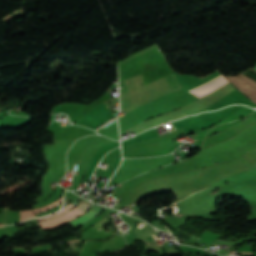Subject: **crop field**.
<instances>
[{
	"instance_id": "obj_5",
	"label": "crop field",
	"mask_w": 256,
	"mask_h": 256,
	"mask_svg": "<svg viewBox=\"0 0 256 256\" xmlns=\"http://www.w3.org/2000/svg\"><path fill=\"white\" fill-rule=\"evenodd\" d=\"M97 213L93 212V211H89L87 214H85L84 216L76 219V220H73L71 221V223L76 227H80L81 225H84L85 223H87L89 220H91L92 218L96 217Z\"/></svg>"
},
{
	"instance_id": "obj_6",
	"label": "crop field",
	"mask_w": 256,
	"mask_h": 256,
	"mask_svg": "<svg viewBox=\"0 0 256 256\" xmlns=\"http://www.w3.org/2000/svg\"><path fill=\"white\" fill-rule=\"evenodd\" d=\"M71 208H73V207L69 205V206H67L66 208L62 209L60 212L55 213L54 215L51 214V215H49V216H46V217L37 219V222L43 221V220H46V219H50V218H52V217L58 216V215H60V214H63L64 212L68 211V210L71 209Z\"/></svg>"
},
{
	"instance_id": "obj_8",
	"label": "crop field",
	"mask_w": 256,
	"mask_h": 256,
	"mask_svg": "<svg viewBox=\"0 0 256 256\" xmlns=\"http://www.w3.org/2000/svg\"><path fill=\"white\" fill-rule=\"evenodd\" d=\"M242 253H247V252H242ZM249 254H253V253H249Z\"/></svg>"
},
{
	"instance_id": "obj_3",
	"label": "crop field",
	"mask_w": 256,
	"mask_h": 256,
	"mask_svg": "<svg viewBox=\"0 0 256 256\" xmlns=\"http://www.w3.org/2000/svg\"><path fill=\"white\" fill-rule=\"evenodd\" d=\"M82 214H84V213L75 207L72 210L66 212L65 214H63L57 218H53V219H50L47 221L40 222L39 225L42 229L55 227L59 224H62V223L67 222L73 218H76Z\"/></svg>"
},
{
	"instance_id": "obj_1",
	"label": "crop field",
	"mask_w": 256,
	"mask_h": 256,
	"mask_svg": "<svg viewBox=\"0 0 256 256\" xmlns=\"http://www.w3.org/2000/svg\"><path fill=\"white\" fill-rule=\"evenodd\" d=\"M254 103H256V82L240 74L236 77H226Z\"/></svg>"
},
{
	"instance_id": "obj_7",
	"label": "crop field",
	"mask_w": 256,
	"mask_h": 256,
	"mask_svg": "<svg viewBox=\"0 0 256 256\" xmlns=\"http://www.w3.org/2000/svg\"><path fill=\"white\" fill-rule=\"evenodd\" d=\"M35 220H36V219L29 220V221H26V222H24V223H21L20 225L26 224V223H28V222H33V221H35Z\"/></svg>"
},
{
	"instance_id": "obj_4",
	"label": "crop field",
	"mask_w": 256,
	"mask_h": 256,
	"mask_svg": "<svg viewBox=\"0 0 256 256\" xmlns=\"http://www.w3.org/2000/svg\"><path fill=\"white\" fill-rule=\"evenodd\" d=\"M61 201H62V197H61L57 202H55V203H53V204H51V205H48V206H46V207H44V208L36 209V210H33V211H34V213H38V212L45 211V210H47V209H50V208H52V207H54V206L60 204ZM34 213L32 212V210L21 211V217H22V218H21V221L26 220V219H28V218H33V217H35ZM21 221H20V222H21Z\"/></svg>"
},
{
	"instance_id": "obj_2",
	"label": "crop field",
	"mask_w": 256,
	"mask_h": 256,
	"mask_svg": "<svg viewBox=\"0 0 256 256\" xmlns=\"http://www.w3.org/2000/svg\"><path fill=\"white\" fill-rule=\"evenodd\" d=\"M229 83V81L223 76H219L193 90L190 92L196 95L197 97L201 98L206 96L207 94L217 90L218 88L222 87L223 85Z\"/></svg>"
}]
</instances>
